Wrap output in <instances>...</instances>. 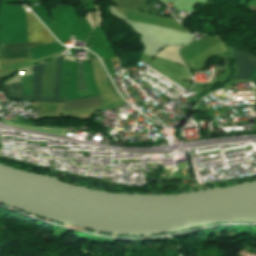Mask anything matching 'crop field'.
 <instances>
[{
	"label": "crop field",
	"mask_w": 256,
	"mask_h": 256,
	"mask_svg": "<svg viewBox=\"0 0 256 256\" xmlns=\"http://www.w3.org/2000/svg\"><path fill=\"white\" fill-rule=\"evenodd\" d=\"M86 89L83 81L82 66H77V90Z\"/></svg>",
	"instance_id": "obj_8"
},
{
	"label": "crop field",
	"mask_w": 256,
	"mask_h": 256,
	"mask_svg": "<svg viewBox=\"0 0 256 256\" xmlns=\"http://www.w3.org/2000/svg\"><path fill=\"white\" fill-rule=\"evenodd\" d=\"M39 45L34 44H3L0 45V59L31 57L28 48Z\"/></svg>",
	"instance_id": "obj_3"
},
{
	"label": "crop field",
	"mask_w": 256,
	"mask_h": 256,
	"mask_svg": "<svg viewBox=\"0 0 256 256\" xmlns=\"http://www.w3.org/2000/svg\"><path fill=\"white\" fill-rule=\"evenodd\" d=\"M3 123L17 127V128H21V129H26V130H31V131H36V132H41V133H46V134H52V135H57V136H62V137H64L65 131H66V130H62V129L14 124V123L6 122V121H3Z\"/></svg>",
	"instance_id": "obj_7"
},
{
	"label": "crop field",
	"mask_w": 256,
	"mask_h": 256,
	"mask_svg": "<svg viewBox=\"0 0 256 256\" xmlns=\"http://www.w3.org/2000/svg\"><path fill=\"white\" fill-rule=\"evenodd\" d=\"M102 104L103 103L100 97L79 99V100H73V101H66L63 110L87 108V107H93V106H98Z\"/></svg>",
	"instance_id": "obj_6"
},
{
	"label": "crop field",
	"mask_w": 256,
	"mask_h": 256,
	"mask_svg": "<svg viewBox=\"0 0 256 256\" xmlns=\"http://www.w3.org/2000/svg\"><path fill=\"white\" fill-rule=\"evenodd\" d=\"M255 85H256V78L255 79H253V81H252Z\"/></svg>",
	"instance_id": "obj_9"
},
{
	"label": "crop field",
	"mask_w": 256,
	"mask_h": 256,
	"mask_svg": "<svg viewBox=\"0 0 256 256\" xmlns=\"http://www.w3.org/2000/svg\"><path fill=\"white\" fill-rule=\"evenodd\" d=\"M28 42L47 44L55 42V39L45 29V27L31 14H27Z\"/></svg>",
	"instance_id": "obj_2"
},
{
	"label": "crop field",
	"mask_w": 256,
	"mask_h": 256,
	"mask_svg": "<svg viewBox=\"0 0 256 256\" xmlns=\"http://www.w3.org/2000/svg\"><path fill=\"white\" fill-rule=\"evenodd\" d=\"M56 59L52 60L45 70L41 96L52 97Z\"/></svg>",
	"instance_id": "obj_5"
},
{
	"label": "crop field",
	"mask_w": 256,
	"mask_h": 256,
	"mask_svg": "<svg viewBox=\"0 0 256 256\" xmlns=\"http://www.w3.org/2000/svg\"><path fill=\"white\" fill-rule=\"evenodd\" d=\"M238 65H239V74L236 79H249L252 73L254 64L256 62V56L247 54L242 51H237L236 53Z\"/></svg>",
	"instance_id": "obj_4"
},
{
	"label": "crop field",
	"mask_w": 256,
	"mask_h": 256,
	"mask_svg": "<svg viewBox=\"0 0 256 256\" xmlns=\"http://www.w3.org/2000/svg\"><path fill=\"white\" fill-rule=\"evenodd\" d=\"M62 62H63V55L59 56L57 59L53 98L40 97L42 74L47 63L41 64L37 67L32 68L33 97L24 96L23 86L21 82L4 86L9 97L12 99L25 100V101L63 103L64 98H58Z\"/></svg>",
	"instance_id": "obj_1"
}]
</instances>
